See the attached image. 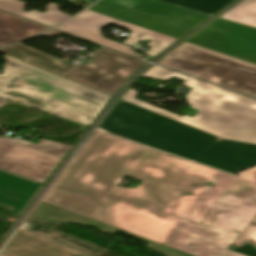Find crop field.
Instances as JSON below:
<instances>
[{"label": "crop field", "mask_w": 256, "mask_h": 256, "mask_svg": "<svg viewBox=\"0 0 256 256\" xmlns=\"http://www.w3.org/2000/svg\"><path fill=\"white\" fill-rule=\"evenodd\" d=\"M125 175L143 182L116 186ZM255 215V183L96 131L31 216L122 230L163 256H243L228 249Z\"/></svg>", "instance_id": "obj_1"}, {"label": "crop field", "mask_w": 256, "mask_h": 256, "mask_svg": "<svg viewBox=\"0 0 256 256\" xmlns=\"http://www.w3.org/2000/svg\"><path fill=\"white\" fill-rule=\"evenodd\" d=\"M99 127L232 174L256 166V144L218 140L122 100Z\"/></svg>", "instance_id": "obj_2"}, {"label": "crop field", "mask_w": 256, "mask_h": 256, "mask_svg": "<svg viewBox=\"0 0 256 256\" xmlns=\"http://www.w3.org/2000/svg\"><path fill=\"white\" fill-rule=\"evenodd\" d=\"M0 96L90 126L113 96L7 55ZM53 104L55 107L49 105Z\"/></svg>", "instance_id": "obj_3"}, {"label": "crop field", "mask_w": 256, "mask_h": 256, "mask_svg": "<svg viewBox=\"0 0 256 256\" xmlns=\"http://www.w3.org/2000/svg\"><path fill=\"white\" fill-rule=\"evenodd\" d=\"M183 85L193 88L186 96L191 107L200 110L192 118L178 116L135 98L129 89L122 100L157 112L220 138L256 143V100L192 78Z\"/></svg>", "instance_id": "obj_4"}, {"label": "crop field", "mask_w": 256, "mask_h": 256, "mask_svg": "<svg viewBox=\"0 0 256 256\" xmlns=\"http://www.w3.org/2000/svg\"><path fill=\"white\" fill-rule=\"evenodd\" d=\"M158 64L256 97V65L190 43Z\"/></svg>", "instance_id": "obj_5"}, {"label": "crop field", "mask_w": 256, "mask_h": 256, "mask_svg": "<svg viewBox=\"0 0 256 256\" xmlns=\"http://www.w3.org/2000/svg\"><path fill=\"white\" fill-rule=\"evenodd\" d=\"M90 9L177 39L208 17L155 0H101Z\"/></svg>", "instance_id": "obj_6"}, {"label": "crop field", "mask_w": 256, "mask_h": 256, "mask_svg": "<svg viewBox=\"0 0 256 256\" xmlns=\"http://www.w3.org/2000/svg\"><path fill=\"white\" fill-rule=\"evenodd\" d=\"M94 60L62 74L66 78L113 95L145 62L101 48L89 55Z\"/></svg>", "instance_id": "obj_7"}, {"label": "crop field", "mask_w": 256, "mask_h": 256, "mask_svg": "<svg viewBox=\"0 0 256 256\" xmlns=\"http://www.w3.org/2000/svg\"><path fill=\"white\" fill-rule=\"evenodd\" d=\"M110 23L133 31L128 36V39L124 42V44L133 46L139 40H152L146 45L152 48L148 52L146 51L147 53L145 54H147L148 56H156L158 53L163 51L165 48H167L169 45L177 40L124 21L94 13L90 10L82 13L75 19L58 26L57 28L110 46L128 54L143 58V56L135 53V51L130 50L128 47L112 42L101 36L99 30Z\"/></svg>", "instance_id": "obj_8"}, {"label": "crop field", "mask_w": 256, "mask_h": 256, "mask_svg": "<svg viewBox=\"0 0 256 256\" xmlns=\"http://www.w3.org/2000/svg\"><path fill=\"white\" fill-rule=\"evenodd\" d=\"M187 42L256 64V29L216 19Z\"/></svg>", "instance_id": "obj_9"}, {"label": "crop field", "mask_w": 256, "mask_h": 256, "mask_svg": "<svg viewBox=\"0 0 256 256\" xmlns=\"http://www.w3.org/2000/svg\"><path fill=\"white\" fill-rule=\"evenodd\" d=\"M4 100L0 99V104ZM0 128H2L0 126ZM61 157L0 137V169L43 183Z\"/></svg>", "instance_id": "obj_10"}, {"label": "crop field", "mask_w": 256, "mask_h": 256, "mask_svg": "<svg viewBox=\"0 0 256 256\" xmlns=\"http://www.w3.org/2000/svg\"><path fill=\"white\" fill-rule=\"evenodd\" d=\"M3 253L10 256H83L24 229L17 232Z\"/></svg>", "instance_id": "obj_11"}, {"label": "crop field", "mask_w": 256, "mask_h": 256, "mask_svg": "<svg viewBox=\"0 0 256 256\" xmlns=\"http://www.w3.org/2000/svg\"><path fill=\"white\" fill-rule=\"evenodd\" d=\"M40 185L0 170V208L18 215Z\"/></svg>", "instance_id": "obj_12"}, {"label": "crop field", "mask_w": 256, "mask_h": 256, "mask_svg": "<svg viewBox=\"0 0 256 256\" xmlns=\"http://www.w3.org/2000/svg\"><path fill=\"white\" fill-rule=\"evenodd\" d=\"M0 52L36 65L43 69L49 70L58 75L76 66L72 63L66 62L21 44L1 49Z\"/></svg>", "instance_id": "obj_13"}, {"label": "crop field", "mask_w": 256, "mask_h": 256, "mask_svg": "<svg viewBox=\"0 0 256 256\" xmlns=\"http://www.w3.org/2000/svg\"><path fill=\"white\" fill-rule=\"evenodd\" d=\"M46 27L0 12V47L37 34Z\"/></svg>", "instance_id": "obj_14"}, {"label": "crop field", "mask_w": 256, "mask_h": 256, "mask_svg": "<svg viewBox=\"0 0 256 256\" xmlns=\"http://www.w3.org/2000/svg\"><path fill=\"white\" fill-rule=\"evenodd\" d=\"M25 6L26 3L18 0H0V9L48 26H53L71 16L69 14L59 11L58 5L53 3H49L46 13H40L36 10L27 13L23 11Z\"/></svg>", "instance_id": "obj_15"}, {"label": "crop field", "mask_w": 256, "mask_h": 256, "mask_svg": "<svg viewBox=\"0 0 256 256\" xmlns=\"http://www.w3.org/2000/svg\"><path fill=\"white\" fill-rule=\"evenodd\" d=\"M29 231L40 234L42 236L53 239L69 248L77 250L87 256H94L106 249L98 247L96 245L90 244L83 240L77 239L70 235L64 234L62 232L56 231L54 229L45 228L41 226L33 225Z\"/></svg>", "instance_id": "obj_16"}, {"label": "crop field", "mask_w": 256, "mask_h": 256, "mask_svg": "<svg viewBox=\"0 0 256 256\" xmlns=\"http://www.w3.org/2000/svg\"><path fill=\"white\" fill-rule=\"evenodd\" d=\"M220 18L256 28V0H243Z\"/></svg>", "instance_id": "obj_17"}, {"label": "crop field", "mask_w": 256, "mask_h": 256, "mask_svg": "<svg viewBox=\"0 0 256 256\" xmlns=\"http://www.w3.org/2000/svg\"><path fill=\"white\" fill-rule=\"evenodd\" d=\"M196 11L213 14L232 0H163Z\"/></svg>", "instance_id": "obj_18"}, {"label": "crop field", "mask_w": 256, "mask_h": 256, "mask_svg": "<svg viewBox=\"0 0 256 256\" xmlns=\"http://www.w3.org/2000/svg\"><path fill=\"white\" fill-rule=\"evenodd\" d=\"M4 138L13 140L15 142H18L20 144L29 146V147H33L51 154H55L58 156L63 157L65 155V153L72 149V146H68V145H64V144H60V143H56V142H52V141H48V140H44L41 139L38 143V145L21 140V139H16V138H11V137H7L5 136Z\"/></svg>", "instance_id": "obj_19"}, {"label": "crop field", "mask_w": 256, "mask_h": 256, "mask_svg": "<svg viewBox=\"0 0 256 256\" xmlns=\"http://www.w3.org/2000/svg\"><path fill=\"white\" fill-rule=\"evenodd\" d=\"M142 77L158 79L168 81L170 78L174 77L181 80H188L190 77L175 73L173 71L167 70L165 68L154 65L151 69H149Z\"/></svg>", "instance_id": "obj_20"}, {"label": "crop field", "mask_w": 256, "mask_h": 256, "mask_svg": "<svg viewBox=\"0 0 256 256\" xmlns=\"http://www.w3.org/2000/svg\"><path fill=\"white\" fill-rule=\"evenodd\" d=\"M245 243H252L256 247V216L232 247H241Z\"/></svg>", "instance_id": "obj_21"}, {"label": "crop field", "mask_w": 256, "mask_h": 256, "mask_svg": "<svg viewBox=\"0 0 256 256\" xmlns=\"http://www.w3.org/2000/svg\"><path fill=\"white\" fill-rule=\"evenodd\" d=\"M255 247L251 244H246L242 246L241 248H231L230 250H233L235 252L241 253L246 256H256V251L254 250Z\"/></svg>", "instance_id": "obj_22"}, {"label": "crop field", "mask_w": 256, "mask_h": 256, "mask_svg": "<svg viewBox=\"0 0 256 256\" xmlns=\"http://www.w3.org/2000/svg\"><path fill=\"white\" fill-rule=\"evenodd\" d=\"M26 223L41 225V226L50 227V228H53V227L61 224L59 222L45 221V220H40V219H36V218H32V217H29L27 219Z\"/></svg>", "instance_id": "obj_23"}, {"label": "crop field", "mask_w": 256, "mask_h": 256, "mask_svg": "<svg viewBox=\"0 0 256 256\" xmlns=\"http://www.w3.org/2000/svg\"><path fill=\"white\" fill-rule=\"evenodd\" d=\"M237 177H240V178H243V179H246V180L256 183V168H254L250 171L244 172V173L238 175Z\"/></svg>", "instance_id": "obj_24"}, {"label": "crop field", "mask_w": 256, "mask_h": 256, "mask_svg": "<svg viewBox=\"0 0 256 256\" xmlns=\"http://www.w3.org/2000/svg\"><path fill=\"white\" fill-rule=\"evenodd\" d=\"M59 33H61V32H58V31H55V30H50V31L46 32V34H48L50 36L56 35V34H59Z\"/></svg>", "instance_id": "obj_25"}, {"label": "crop field", "mask_w": 256, "mask_h": 256, "mask_svg": "<svg viewBox=\"0 0 256 256\" xmlns=\"http://www.w3.org/2000/svg\"><path fill=\"white\" fill-rule=\"evenodd\" d=\"M95 0H82V2L86 3L84 7H87L90 3L94 2Z\"/></svg>", "instance_id": "obj_26"}, {"label": "crop field", "mask_w": 256, "mask_h": 256, "mask_svg": "<svg viewBox=\"0 0 256 256\" xmlns=\"http://www.w3.org/2000/svg\"><path fill=\"white\" fill-rule=\"evenodd\" d=\"M0 256H7V255H5V254L1 253V254H0Z\"/></svg>", "instance_id": "obj_27"}]
</instances>
